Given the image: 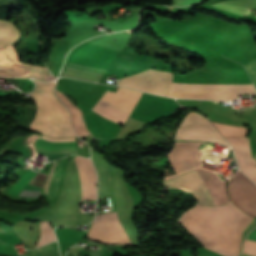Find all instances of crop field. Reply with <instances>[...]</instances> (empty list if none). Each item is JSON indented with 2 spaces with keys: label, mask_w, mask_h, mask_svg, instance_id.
Returning a JSON list of instances; mask_svg holds the SVG:
<instances>
[{
  "label": "crop field",
  "mask_w": 256,
  "mask_h": 256,
  "mask_svg": "<svg viewBox=\"0 0 256 256\" xmlns=\"http://www.w3.org/2000/svg\"><path fill=\"white\" fill-rule=\"evenodd\" d=\"M187 211L220 242L235 247H240L243 232L252 220L231 202L222 207L195 206Z\"/></svg>",
  "instance_id": "1"
},
{
  "label": "crop field",
  "mask_w": 256,
  "mask_h": 256,
  "mask_svg": "<svg viewBox=\"0 0 256 256\" xmlns=\"http://www.w3.org/2000/svg\"><path fill=\"white\" fill-rule=\"evenodd\" d=\"M34 81L36 88L32 96L38 105V112L30 128L50 137L76 136L70 123L69 112L53 93L54 82Z\"/></svg>",
  "instance_id": "2"
},
{
  "label": "crop field",
  "mask_w": 256,
  "mask_h": 256,
  "mask_svg": "<svg viewBox=\"0 0 256 256\" xmlns=\"http://www.w3.org/2000/svg\"><path fill=\"white\" fill-rule=\"evenodd\" d=\"M237 94H255L253 84L216 85L172 83L168 96L187 99L230 100L238 98Z\"/></svg>",
  "instance_id": "3"
},
{
  "label": "crop field",
  "mask_w": 256,
  "mask_h": 256,
  "mask_svg": "<svg viewBox=\"0 0 256 256\" xmlns=\"http://www.w3.org/2000/svg\"><path fill=\"white\" fill-rule=\"evenodd\" d=\"M18 33L8 22L0 21V76L32 77L48 81L54 78L48 70L17 63L8 55V48Z\"/></svg>",
  "instance_id": "4"
},
{
  "label": "crop field",
  "mask_w": 256,
  "mask_h": 256,
  "mask_svg": "<svg viewBox=\"0 0 256 256\" xmlns=\"http://www.w3.org/2000/svg\"><path fill=\"white\" fill-rule=\"evenodd\" d=\"M141 95L138 91L119 88L116 93L106 91L102 99L131 113ZM107 106L108 103L99 99L93 109L103 114ZM127 113L109 104L104 116L124 124L130 114Z\"/></svg>",
  "instance_id": "5"
},
{
  "label": "crop field",
  "mask_w": 256,
  "mask_h": 256,
  "mask_svg": "<svg viewBox=\"0 0 256 256\" xmlns=\"http://www.w3.org/2000/svg\"><path fill=\"white\" fill-rule=\"evenodd\" d=\"M176 140H201L227 143L209 121L202 115L191 112L179 129Z\"/></svg>",
  "instance_id": "6"
},
{
  "label": "crop field",
  "mask_w": 256,
  "mask_h": 256,
  "mask_svg": "<svg viewBox=\"0 0 256 256\" xmlns=\"http://www.w3.org/2000/svg\"><path fill=\"white\" fill-rule=\"evenodd\" d=\"M233 178V177H232ZM231 202L248 215H256V187L240 172L229 181Z\"/></svg>",
  "instance_id": "7"
},
{
  "label": "crop field",
  "mask_w": 256,
  "mask_h": 256,
  "mask_svg": "<svg viewBox=\"0 0 256 256\" xmlns=\"http://www.w3.org/2000/svg\"><path fill=\"white\" fill-rule=\"evenodd\" d=\"M231 145L239 168L256 185V160L252 158L248 138H226Z\"/></svg>",
  "instance_id": "8"
},
{
  "label": "crop field",
  "mask_w": 256,
  "mask_h": 256,
  "mask_svg": "<svg viewBox=\"0 0 256 256\" xmlns=\"http://www.w3.org/2000/svg\"><path fill=\"white\" fill-rule=\"evenodd\" d=\"M80 175L82 199H95L96 175L89 159L74 158Z\"/></svg>",
  "instance_id": "9"
},
{
  "label": "crop field",
  "mask_w": 256,
  "mask_h": 256,
  "mask_svg": "<svg viewBox=\"0 0 256 256\" xmlns=\"http://www.w3.org/2000/svg\"><path fill=\"white\" fill-rule=\"evenodd\" d=\"M164 184L169 186L188 187L196 194L199 200L198 204L214 205L207 187L191 178L182 175H175L165 179Z\"/></svg>",
  "instance_id": "10"
},
{
  "label": "crop field",
  "mask_w": 256,
  "mask_h": 256,
  "mask_svg": "<svg viewBox=\"0 0 256 256\" xmlns=\"http://www.w3.org/2000/svg\"><path fill=\"white\" fill-rule=\"evenodd\" d=\"M92 160L98 173V198L110 196V173L103 156L91 148Z\"/></svg>",
  "instance_id": "11"
},
{
  "label": "crop field",
  "mask_w": 256,
  "mask_h": 256,
  "mask_svg": "<svg viewBox=\"0 0 256 256\" xmlns=\"http://www.w3.org/2000/svg\"><path fill=\"white\" fill-rule=\"evenodd\" d=\"M35 173L25 172L24 175L10 188L9 193L16 195ZM46 175L37 174L29 185L42 187ZM40 192L23 190L19 196L38 197Z\"/></svg>",
  "instance_id": "12"
},
{
  "label": "crop field",
  "mask_w": 256,
  "mask_h": 256,
  "mask_svg": "<svg viewBox=\"0 0 256 256\" xmlns=\"http://www.w3.org/2000/svg\"><path fill=\"white\" fill-rule=\"evenodd\" d=\"M40 139L45 140V141H50V142H68V141H75L74 138H68V139H52L49 137H44L42 136ZM42 140H38V144L46 146V147H73L76 146L75 142H68V143H49L45 142ZM39 148L43 149H48V150H76V147L73 148H46L43 146L36 145ZM35 147V150L37 151H42V152H47V153H76V151H48V150H43Z\"/></svg>",
  "instance_id": "13"
},
{
  "label": "crop field",
  "mask_w": 256,
  "mask_h": 256,
  "mask_svg": "<svg viewBox=\"0 0 256 256\" xmlns=\"http://www.w3.org/2000/svg\"><path fill=\"white\" fill-rule=\"evenodd\" d=\"M58 97L63 101L64 105L70 110L72 114V122L75 126L76 132L79 136L90 135L88 129L84 125V120L81 110L75 105L71 104L67 98L63 96L62 93L56 91Z\"/></svg>",
  "instance_id": "14"
},
{
  "label": "crop field",
  "mask_w": 256,
  "mask_h": 256,
  "mask_svg": "<svg viewBox=\"0 0 256 256\" xmlns=\"http://www.w3.org/2000/svg\"><path fill=\"white\" fill-rule=\"evenodd\" d=\"M67 68L73 69V70H78V71L99 74V75H102L104 72L103 70L87 68V67H82V66H77V65H72V64H69ZM68 69H65L64 72L62 73V75H67V76L82 78V79H88L91 81H97L100 78L99 75L83 73V72H78V71H73V70H68Z\"/></svg>",
  "instance_id": "15"
},
{
  "label": "crop field",
  "mask_w": 256,
  "mask_h": 256,
  "mask_svg": "<svg viewBox=\"0 0 256 256\" xmlns=\"http://www.w3.org/2000/svg\"><path fill=\"white\" fill-rule=\"evenodd\" d=\"M215 7L226 10L228 12L240 14V15H248L250 12V8L242 7L239 5H235L229 2H219L217 4H214Z\"/></svg>",
  "instance_id": "16"
},
{
  "label": "crop field",
  "mask_w": 256,
  "mask_h": 256,
  "mask_svg": "<svg viewBox=\"0 0 256 256\" xmlns=\"http://www.w3.org/2000/svg\"><path fill=\"white\" fill-rule=\"evenodd\" d=\"M54 226H80L81 216L78 215H68L61 216L56 220L52 221Z\"/></svg>",
  "instance_id": "17"
},
{
  "label": "crop field",
  "mask_w": 256,
  "mask_h": 256,
  "mask_svg": "<svg viewBox=\"0 0 256 256\" xmlns=\"http://www.w3.org/2000/svg\"><path fill=\"white\" fill-rule=\"evenodd\" d=\"M245 67H246L255 87H256V59L247 63V65Z\"/></svg>",
  "instance_id": "18"
},
{
  "label": "crop field",
  "mask_w": 256,
  "mask_h": 256,
  "mask_svg": "<svg viewBox=\"0 0 256 256\" xmlns=\"http://www.w3.org/2000/svg\"><path fill=\"white\" fill-rule=\"evenodd\" d=\"M246 239L256 241V232L251 231Z\"/></svg>",
  "instance_id": "19"
},
{
  "label": "crop field",
  "mask_w": 256,
  "mask_h": 256,
  "mask_svg": "<svg viewBox=\"0 0 256 256\" xmlns=\"http://www.w3.org/2000/svg\"><path fill=\"white\" fill-rule=\"evenodd\" d=\"M54 164H55V163H54ZM54 164H53V166H52L51 172H52V170H53ZM51 172H50V174H49V177H48V180H47V182H46V185H45V188H44L43 192H45V189H46V186H47V184H48V181H49Z\"/></svg>",
  "instance_id": "20"
}]
</instances>
